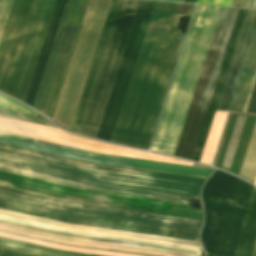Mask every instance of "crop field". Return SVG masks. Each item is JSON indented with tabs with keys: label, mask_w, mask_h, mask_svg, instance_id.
<instances>
[{
	"label": "crop field",
	"mask_w": 256,
	"mask_h": 256,
	"mask_svg": "<svg viewBox=\"0 0 256 256\" xmlns=\"http://www.w3.org/2000/svg\"><path fill=\"white\" fill-rule=\"evenodd\" d=\"M0 256H20V255H15V254H10V253L0 251Z\"/></svg>",
	"instance_id": "crop-field-30"
},
{
	"label": "crop field",
	"mask_w": 256,
	"mask_h": 256,
	"mask_svg": "<svg viewBox=\"0 0 256 256\" xmlns=\"http://www.w3.org/2000/svg\"><path fill=\"white\" fill-rule=\"evenodd\" d=\"M0 240L6 241V242H11V243H16V244H20V245H26L25 242H20V241L5 239V238H0ZM27 246L38 248V249H43V250H47V251H52V252H56V253H62V254H70V255H77V256H100V255H93V254H85V253L57 250V249L43 247V246L29 244V243L27 244Z\"/></svg>",
	"instance_id": "crop-field-25"
},
{
	"label": "crop field",
	"mask_w": 256,
	"mask_h": 256,
	"mask_svg": "<svg viewBox=\"0 0 256 256\" xmlns=\"http://www.w3.org/2000/svg\"><path fill=\"white\" fill-rule=\"evenodd\" d=\"M214 256H216V255H214Z\"/></svg>",
	"instance_id": "crop-field-32"
},
{
	"label": "crop field",
	"mask_w": 256,
	"mask_h": 256,
	"mask_svg": "<svg viewBox=\"0 0 256 256\" xmlns=\"http://www.w3.org/2000/svg\"><path fill=\"white\" fill-rule=\"evenodd\" d=\"M0 107L5 108V109L14 110V111H19V112H24V113H28V114L37 115V113L33 112L32 110H30L26 106H24V105H22L18 102H15L11 99H8V98H6L2 95H0Z\"/></svg>",
	"instance_id": "crop-field-24"
},
{
	"label": "crop field",
	"mask_w": 256,
	"mask_h": 256,
	"mask_svg": "<svg viewBox=\"0 0 256 256\" xmlns=\"http://www.w3.org/2000/svg\"><path fill=\"white\" fill-rule=\"evenodd\" d=\"M13 0H0V38Z\"/></svg>",
	"instance_id": "crop-field-26"
},
{
	"label": "crop field",
	"mask_w": 256,
	"mask_h": 256,
	"mask_svg": "<svg viewBox=\"0 0 256 256\" xmlns=\"http://www.w3.org/2000/svg\"><path fill=\"white\" fill-rule=\"evenodd\" d=\"M256 244V189L253 188L236 256H252Z\"/></svg>",
	"instance_id": "crop-field-19"
},
{
	"label": "crop field",
	"mask_w": 256,
	"mask_h": 256,
	"mask_svg": "<svg viewBox=\"0 0 256 256\" xmlns=\"http://www.w3.org/2000/svg\"><path fill=\"white\" fill-rule=\"evenodd\" d=\"M0 209H5L9 211H14L18 213H23L27 215H32L36 217H41V218L73 224V225L89 226V227H96V228L112 229V230H119V231H127V232H135V233H142V234H150V235L199 241L198 239L199 232L197 231L78 215V214H72V213L17 203L13 201L4 200V199H0Z\"/></svg>",
	"instance_id": "crop-field-11"
},
{
	"label": "crop field",
	"mask_w": 256,
	"mask_h": 256,
	"mask_svg": "<svg viewBox=\"0 0 256 256\" xmlns=\"http://www.w3.org/2000/svg\"><path fill=\"white\" fill-rule=\"evenodd\" d=\"M256 184V183H255Z\"/></svg>",
	"instance_id": "crop-field-33"
},
{
	"label": "crop field",
	"mask_w": 256,
	"mask_h": 256,
	"mask_svg": "<svg viewBox=\"0 0 256 256\" xmlns=\"http://www.w3.org/2000/svg\"><path fill=\"white\" fill-rule=\"evenodd\" d=\"M0 171L88 190L186 202L205 180L105 166L0 144Z\"/></svg>",
	"instance_id": "crop-field-1"
},
{
	"label": "crop field",
	"mask_w": 256,
	"mask_h": 256,
	"mask_svg": "<svg viewBox=\"0 0 256 256\" xmlns=\"http://www.w3.org/2000/svg\"><path fill=\"white\" fill-rule=\"evenodd\" d=\"M0 181L10 182L14 184H19L23 186H28L32 188L42 189L46 191H51L55 193H60L64 195L74 196L84 199L100 200L107 202L123 203L130 205L154 207L161 209L177 210L184 212L200 213L202 211L188 209L187 204L176 203L162 200H154L140 197H132L118 194H110L96 191L82 190L78 188L68 187L64 185H59L55 183L45 182L41 180H36L32 178L22 177L18 175L8 174L0 172Z\"/></svg>",
	"instance_id": "crop-field-14"
},
{
	"label": "crop field",
	"mask_w": 256,
	"mask_h": 256,
	"mask_svg": "<svg viewBox=\"0 0 256 256\" xmlns=\"http://www.w3.org/2000/svg\"><path fill=\"white\" fill-rule=\"evenodd\" d=\"M138 1H112L71 132L95 137Z\"/></svg>",
	"instance_id": "crop-field-6"
},
{
	"label": "crop field",
	"mask_w": 256,
	"mask_h": 256,
	"mask_svg": "<svg viewBox=\"0 0 256 256\" xmlns=\"http://www.w3.org/2000/svg\"><path fill=\"white\" fill-rule=\"evenodd\" d=\"M154 2L141 0L124 50V54L113 84V88L97 134L98 139L110 140L131 71Z\"/></svg>",
	"instance_id": "crop-field-12"
},
{
	"label": "crop field",
	"mask_w": 256,
	"mask_h": 256,
	"mask_svg": "<svg viewBox=\"0 0 256 256\" xmlns=\"http://www.w3.org/2000/svg\"><path fill=\"white\" fill-rule=\"evenodd\" d=\"M255 80H256V73H255V77H254V80H253V83H252V86H251V89H250V92H249V95H248V98H247V102H246V105H245V108H244V111H243V112L246 111V108H247V105H248V102H249V98H250V95H251V92H252V89H253Z\"/></svg>",
	"instance_id": "crop-field-29"
},
{
	"label": "crop field",
	"mask_w": 256,
	"mask_h": 256,
	"mask_svg": "<svg viewBox=\"0 0 256 256\" xmlns=\"http://www.w3.org/2000/svg\"><path fill=\"white\" fill-rule=\"evenodd\" d=\"M55 0H15L0 44V91L24 101Z\"/></svg>",
	"instance_id": "crop-field-5"
},
{
	"label": "crop field",
	"mask_w": 256,
	"mask_h": 256,
	"mask_svg": "<svg viewBox=\"0 0 256 256\" xmlns=\"http://www.w3.org/2000/svg\"><path fill=\"white\" fill-rule=\"evenodd\" d=\"M0 223L21 227V228H26L30 230L40 231L44 233L54 234L58 236L69 237V238H77V239H84V240H92V241L152 248V249H159V250H167V251L182 252V253L197 254V255H200V252H201V250H198V249H191V248L65 231V230H60L56 228L46 227L42 225L32 224V223L18 221V220L4 218V217H0ZM2 224H0V230L32 236V237L41 238L45 240L55 241L59 243H65V244L80 245V246L109 249V250H116V251H123V252H131V253H138V254H145V255H152V256H197V255H189V254L129 247V246H122V245H114V244H107V243H99V242H92V241H84V240H77V239H69V238L58 237L54 235L44 234L40 232L30 231V230L11 227V226L2 225Z\"/></svg>",
	"instance_id": "crop-field-10"
},
{
	"label": "crop field",
	"mask_w": 256,
	"mask_h": 256,
	"mask_svg": "<svg viewBox=\"0 0 256 256\" xmlns=\"http://www.w3.org/2000/svg\"><path fill=\"white\" fill-rule=\"evenodd\" d=\"M239 9L222 8L175 151L192 159Z\"/></svg>",
	"instance_id": "crop-field-9"
},
{
	"label": "crop field",
	"mask_w": 256,
	"mask_h": 256,
	"mask_svg": "<svg viewBox=\"0 0 256 256\" xmlns=\"http://www.w3.org/2000/svg\"><path fill=\"white\" fill-rule=\"evenodd\" d=\"M0 115L5 116V117H10V118H15V119H19V120H24V121H28V122H33V123H38V124H42V125L55 127L50 122H48L45 118L38 117V116L34 117V116L16 113V112H12V111H7V110H3V109H0Z\"/></svg>",
	"instance_id": "crop-field-23"
},
{
	"label": "crop field",
	"mask_w": 256,
	"mask_h": 256,
	"mask_svg": "<svg viewBox=\"0 0 256 256\" xmlns=\"http://www.w3.org/2000/svg\"><path fill=\"white\" fill-rule=\"evenodd\" d=\"M178 5L154 3L112 142L147 148L184 35L172 26Z\"/></svg>",
	"instance_id": "crop-field-2"
},
{
	"label": "crop field",
	"mask_w": 256,
	"mask_h": 256,
	"mask_svg": "<svg viewBox=\"0 0 256 256\" xmlns=\"http://www.w3.org/2000/svg\"><path fill=\"white\" fill-rule=\"evenodd\" d=\"M253 256H256V248H255V252H254V255Z\"/></svg>",
	"instance_id": "crop-field-31"
},
{
	"label": "crop field",
	"mask_w": 256,
	"mask_h": 256,
	"mask_svg": "<svg viewBox=\"0 0 256 256\" xmlns=\"http://www.w3.org/2000/svg\"><path fill=\"white\" fill-rule=\"evenodd\" d=\"M231 7L256 9V0H233Z\"/></svg>",
	"instance_id": "crop-field-27"
},
{
	"label": "crop field",
	"mask_w": 256,
	"mask_h": 256,
	"mask_svg": "<svg viewBox=\"0 0 256 256\" xmlns=\"http://www.w3.org/2000/svg\"><path fill=\"white\" fill-rule=\"evenodd\" d=\"M66 0H56L24 103L33 106ZM87 0H67L33 108L50 118Z\"/></svg>",
	"instance_id": "crop-field-7"
},
{
	"label": "crop field",
	"mask_w": 256,
	"mask_h": 256,
	"mask_svg": "<svg viewBox=\"0 0 256 256\" xmlns=\"http://www.w3.org/2000/svg\"><path fill=\"white\" fill-rule=\"evenodd\" d=\"M0 197L11 199V200H16V201H20L21 199H24V200L34 202L35 200H38V201L59 204V205H64V206H69V207H74V208H80V209L117 213V214L146 217V218H153V219H156L158 216V215H154V214H146V213H138V212H130V211H122V210L76 205V204L58 201V200H54V199H49V198H44V197L26 194V193H22V192H17V191H13V190H8V189H4V188H0ZM24 200H21V202L35 204V205L44 206V207H49V208L58 209V210H63V211L72 212V213L120 219V220H127V221H134V222H141V223H148V224H155V225H162V226H169V227H176V228H183V229H190V230H197V231H200L201 224H202V222H199V221L180 219V218H174V217H168V216H162V215H159L157 220H153V219L116 215V214H109V213H102V212H95V211L80 210V209H74V208L53 205V204H48V203H43V202H38V201H36L35 203H32V202H28V201H24Z\"/></svg>",
	"instance_id": "crop-field-13"
},
{
	"label": "crop field",
	"mask_w": 256,
	"mask_h": 256,
	"mask_svg": "<svg viewBox=\"0 0 256 256\" xmlns=\"http://www.w3.org/2000/svg\"><path fill=\"white\" fill-rule=\"evenodd\" d=\"M227 112L216 111L202 154L201 163L211 165Z\"/></svg>",
	"instance_id": "crop-field-20"
},
{
	"label": "crop field",
	"mask_w": 256,
	"mask_h": 256,
	"mask_svg": "<svg viewBox=\"0 0 256 256\" xmlns=\"http://www.w3.org/2000/svg\"><path fill=\"white\" fill-rule=\"evenodd\" d=\"M0 236L6 237V238H11V239H16V240H20V241L30 242V243H34V244H39V245H43V246L53 247V248H57V249H63V250H71V251H78V252H85V253L108 255V256H138V255L124 254V253H116V252H109V251H102V250H94V249L59 245V244H55V243L45 242V241H41V240L22 237V236L13 235V234L4 233V232H0Z\"/></svg>",
	"instance_id": "crop-field-21"
},
{
	"label": "crop field",
	"mask_w": 256,
	"mask_h": 256,
	"mask_svg": "<svg viewBox=\"0 0 256 256\" xmlns=\"http://www.w3.org/2000/svg\"><path fill=\"white\" fill-rule=\"evenodd\" d=\"M0 132L23 136L45 142L55 143L77 149L87 150L106 155H114L128 158L166 162L191 166V162L168 158L138 150L128 149L119 146L102 144L90 141L75 135L68 134L60 129L28 123L15 119L0 116ZM0 133V142L32 148L45 152L69 156L96 163L117 165L138 169H146L160 172H168L189 176L207 178L213 170L201 169L188 166H180L166 163L128 159L114 156L100 155L87 151L77 150L55 144L45 143L23 137Z\"/></svg>",
	"instance_id": "crop-field-3"
},
{
	"label": "crop field",
	"mask_w": 256,
	"mask_h": 256,
	"mask_svg": "<svg viewBox=\"0 0 256 256\" xmlns=\"http://www.w3.org/2000/svg\"><path fill=\"white\" fill-rule=\"evenodd\" d=\"M247 11L248 10H244V9L239 10L237 20H236V23H235V26H234V29H233V32L231 35V39H230V42H229V45H228V48H227V51L225 54V58H224V61H223V64H222V67H221V70L219 73V77H218V80H217V83H216V86H215V89L213 92V96H212V99H211V102H210V105H209V108L207 111V115H206L202 130H201V134H200V137H199L196 149H195V153H194V156L192 159L194 161H198V162L200 161L201 154H202V151H203V148L205 145V141H206V138H207V135L209 132V128H210V125H211V122L213 119V115H214V112H215V109H216V106H217V103H218V100H219V97H220V94H221V91L223 88V84H224V81H225V78H226V75H227V72H228V69H229L235 48H236V45H237V42L239 39V36H240V32H241Z\"/></svg>",
	"instance_id": "crop-field-15"
},
{
	"label": "crop field",
	"mask_w": 256,
	"mask_h": 256,
	"mask_svg": "<svg viewBox=\"0 0 256 256\" xmlns=\"http://www.w3.org/2000/svg\"><path fill=\"white\" fill-rule=\"evenodd\" d=\"M256 70V27L228 111L242 112Z\"/></svg>",
	"instance_id": "crop-field-18"
},
{
	"label": "crop field",
	"mask_w": 256,
	"mask_h": 256,
	"mask_svg": "<svg viewBox=\"0 0 256 256\" xmlns=\"http://www.w3.org/2000/svg\"><path fill=\"white\" fill-rule=\"evenodd\" d=\"M0 250L15 253V254H20L24 256H70V255L56 254V253L37 250L33 248L23 247V246L6 243L2 241H0Z\"/></svg>",
	"instance_id": "crop-field-22"
},
{
	"label": "crop field",
	"mask_w": 256,
	"mask_h": 256,
	"mask_svg": "<svg viewBox=\"0 0 256 256\" xmlns=\"http://www.w3.org/2000/svg\"><path fill=\"white\" fill-rule=\"evenodd\" d=\"M221 8L197 5L151 150L174 154Z\"/></svg>",
	"instance_id": "crop-field-4"
},
{
	"label": "crop field",
	"mask_w": 256,
	"mask_h": 256,
	"mask_svg": "<svg viewBox=\"0 0 256 256\" xmlns=\"http://www.w3.org/2000/svg\"><path fill=\"white\" fill-rule=\"evenodd\" d=\"M253 186L216 170L201 197L205 220L201 241L205 252L235 256Z\"/></svg>",
	"instance_id": "crop-field-8"
},
{
	"label": "crop field",
	"mask_w": 256,
	"mask_h": 256,
	"mask_svg": "<svg viewBox=\"0 0 256 256\" xmlns=\"http://www.w3.org/2000/svg\"><path fill=\"white\" fill-rule=\"evenodd\" d=\"M255 24L256 11L249 10L217 110H228Z\"/></svg>",
	"instance_id": "crop-field-16"
},
{
	"label": "crop field",
	"mask_w": 256,
	"mask_h": 256,
	"mask_svg": "<svg viewBox=\"0 0 256 256\" xmlns=\"http://www.w3.org/2000/svg\"><path fill=\"white\" fill-rule=\"evenodd\" d=\"M246 112L256 113V83Z\"/></svg>",
	"instance_id": "crop-field-28"
},
{
	"label": "crop field",
	"mask_w": 256,
	"mask_h": 256,
	"mask_svg": "<svg viewBox=\"0 0 256 256\" xmlns=\"http://www.w3.org/2000/svg\"><path fill=\"white\" fill-rule=\"evenodd\" d=\"M0 186L17 189V190H21V191H26V192H31V193H35V194H40V195H44V196H49V197H53V198L63 199V200H67V201H72V202H76V203H82V204L119 208V209L133 210V211H141V212L170 215V216H177V217H184V218H192V219H199V220H202V217H203V215H200V214H192V213H184V212H177V211H169V210H161V209H154V208H146V207H138V206H130V205H123V204H115V203L78 199V198H74V197L64 196V195H60V194H55V193L46 192V191H42V190L32 189V188L23 187V186L14 185V184H9V183H5V182H0Z\"/></svg>",
	"instance_id": "crop-field-17"
}]
</instances>
